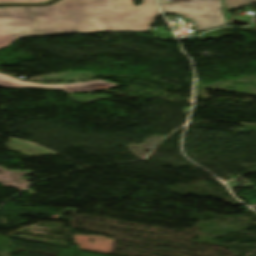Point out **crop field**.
<instances>
[{"instance_id":"2","label":"crop field","mask_w":256,"mask_h":256,"mask_svg":"<svg viewBox=\"0 0 256 256\" xmlns=\"http://www.w3.org/2000/svg\"><path fill=\"white\" fill-rule=\"evenodd\" d=\"M162 12L180 15L192 20L197 31L210 30L226 25L221 0H159Z\"/></svg>"},{"instance_id":"5","label":"crop field","mask_w":256,"mask_h":256,"mask_svg":"<svg viewBox=\"0 0 256 256\" xmlns=\"http://www.w3.org/2000/svg\"><path fill=\"white\" fill-rule=\"evenodd\" d=\"M49 0H0L1 3H45Z\"/></svg>"},{"instance_id":"3","label":"crop field","mask_w":256,"mask_h":256,"mask_svg":"<svg viewBox=\"0 0 256 256\" xmlns=\"http://www.w3.org/2000/svg\"><path fill=\"white\" fill-rule=\"evenodd\" d=\"M117 86L119 85L109 83V82H104L103 80L59 84V85H47V84H39V83L22 81L16 77L0 73V87H4V88H43V89H56V90L61 89L68 93H76V92L115 88Z\"/></svg>"},{"instance_id":"4","label":"crop field","mask_w":256,"mask_h":256,"mask_svg":"<svg viewBox=\"0 0 256 256\" xmlns=\"http://www.w3.org/2000/svg\"><path fill=\"white\" fill-rule=\"evenodd\" d=\"M226 9H232L251 3H255L256 0H223Z\"/></svg>"},{"instance_id":"1","label":"crop field","mask_w":256,"mask_h":256,"mask_svg":"<svg viewBox=\"0 0 256 256\" xmlns=\"http://www.w3.org/2000/svg\"><path fill=\"white\" fill-rule=\"evenodd\" d=\"M58 0L48 6L0 7V49L38 35L146 32L158 15L155 0Z\"/></svg>"}]
</instances>
